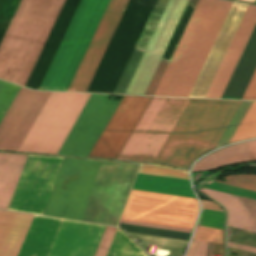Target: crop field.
Instances as JSON below:
<instances>
[{
    "instance_id": "crop-field-1",
    "label": "crop field",
    "mask_w": 256,
    "mask_h": 256,
    "mask_svg": "<svg viewBox=\"0 0 256 256\" xmlns=\"http://www.w3.org/2000/svg\"><path fill=\"white\" fill-rule=\"evenodd\" d=\"M232 4L199 0L154 95L188 96ZM247 6L233 4L189 97H204ZM255 23L249 5L204 98L221 97Z\"/></svg>"
},
{
    "instance_id": "crop-field-2",
    "label": "crop field",
    "mask_w": 256,
    "mask_h": 256,
    "mask_svg": "<svg viewBox=\"0 0 256 256\" xmlns=\"http://www.w3.org/2000/svg\"><path fill=\"white\" fill-rule=\"evenodd\" d=\"M51 92L21 88L0 123V149L17 151ZM90 94L52 92L18 151L57 154ZM91 94L58 154L88 157L120 101Z\"/></svg>"
},
{
    "instance_id": "crop-field-3",
    "label": "crop field",
    "mask_w": 256,
    "mask_h": 256,
    "mask_svg": "<svg viewBox=\"0 0 256 256\" xmlns=\"http://www.w3.org/2000/svg\"><path fill=\"white\" fill-rule=\"evenodd\" d=\"M240 103L153 97L117 159L188 170L195 159L214 149Z\"/></svg>"
},
{
    "instance_id": "crop-field-4",
    "label": "crop field",
    "mask_w": 256,
    "mask_h": 256,
    "mask_svg": "<svg viewBox=\"0 0 256 256\" xmlns=\"http://www.w3.org/2000/svg\"><path fill=\"white\" fill-rule=\"evenodd\" d=\"M157 0H111L67 91L113 93Z\"/></svg>"
},
{
    "instance_id": "crop-field-5",
    "label": "crop field",
    "mask_w": 256,
    "mask_h": 256,
    "mask_svg": "<svg viewBox=\"0 0 256 256\" xmlns=\"http://www.w3.org/2000/svg\"><path fill=\"white\" fill-rule=\"evenodd\" d=\"M65 0H21L0 44V79L25 85Z\"/></svg>"
},
{
    "instance_id": "crop-field-6",
    "label": "crop field",
    "mask_w": 256,
    "mask_h": 256,
    "mask_svg": "<svg viewBox=\"0 0 256 256\" xmlns=\"http://www.w3.org/2000/svg\"><path fill=\"white\" fill-rule=\"evenodd\" d=\"M109 1H81L39 90H67Z\"/></svg>"
},
{
    "instance_id": "crop-field-7",
    "label": "crop field",
    "mask_w": 256,
    "mask_h": 256,
    "mask_svg": "<svg viewBox=\"0 0 256 256\" xmlns=\"http://www.w3.org/2000/svg\"><path fill=\"white\" fill-rule=\"evenodd\" d=\"M101 163L65 158L43 215L80 220Z\"/></svg>"
},
{
    "instance_id": "crop-field-8",
    "label": "crop field",
    "mask_w": 256,
    "mask_h": 256,
    "mask_svg": "<svg viewBox=\"0 0 256 256\" xmlns=\"http://www.w3.org/2000/svg\"><path fill=\"white\" fill-rule=\"evenodd\" d=\"M197 211L193 198L132 190L121 219L192 229Z\"/></svg>"
},
{
    "instance_id": "crop-field-9",
    "label": "crop field",
    "mask_w": 256,
    "mask_h": 256,
    "mask_svg": "<svg viewBox=\"0 0 256 256\" xmlns=\"http://www.w3.org/2000/svg\"><path fill=\"white\" fill-rule=\"evenodd\" d=\"M63 159L28 155L7 210L42 215Z\"/></svg>"
},
{
    "instance_id": "crop-field-10",
    "label": "crop field",
    "mask_w": 256,
    "mask_h": 256,
    "mask_svg": "<svg viewBox=\"0 0 256 256\" xmlns=\"http://www.w3.org/2000/svg\"><path fill=\"white\" fill-rule=\"evenodd\" d=\"M151 99L124 96L89 157L116 159Z\"/></svg>"
},
{
    "instance_id": "crop-field-11",
    "label": "crop field",
    "mask_w": 256,
    "mask_h": 256,
    "mask_svg": "<svg viewBox=\"0 0 256 256\" xmlns=\"http://www.w3.org/2000/svg\"><path fill=\"white\" fill-rule=\"evenodd\" d=\"M105 227L63 220L48 256H94Z\"/></svg>"
},
{
    "instance_id": "crop-field-12",
    "label": "crop field",
    "mask_w": 256,
    "mask_h": 256,
    "mask_svg": "<svg viewBox=\"0 0 256 256\" xmlns=\"http://www.w3.org/2000/svg\"><path fill=\"white\" fill-rule=\"evenodd\" d=\"M61 221L34 216L17 256H47Z\"/></svg>"
},
{
    "instance_id": "crop-field-13",
    "label": "crop field",
    "mask_w": 256,
    "mask_h": 256,
    "mask_svg": "<svg viewBox=\"0 0 256 256\" xmlns=\"http://www.w3.org/2000/svg\"><path fill=\"white\" fill-rule=\"evenodd\" d=\"M200 191L220 201L225 206L228 211L227 225L247 230L249 212L250 218L256 219V200L236 196L247 207L248 212L246 207L234 195L205 188ZM252 219H250L248 230L256 232V220Z\"/></svg>"
},
{
    "instance_id": "crop-field-14",
    "label": "crop field",
    "mask_w": 256,
    "mask_h": 256,
    "mask_svg": "<svg viewBox=\"0 0 256 256\" xmlns=\"http://www.w3.org/2000/svg\"><path fill=\"white\" fill-rule=\"evenodd\" d=\"M33 216L0 211V256H16Z\"/></svg>"
},
{
    "instance_id": "crop-field-15",
    "label": "crop field",
    "mask_w": 256,
    "mask_h": 256,
    "mask_svg": "<svg viewBox=\"0 0 256 256\" xmlns=\"http://www.w3.org/2000/svg\"><path fill=\"white\" fill-rule=\"evenodd\" d=\"M26 156L0 153V209H7Z\"/></svg>"
},
{
    "instance_id": "crop-field-16",
    "label": "crop field",
    "mask_w": 256,
    "mask_h": 256,
    "mask_svg": "<svg viewBox=\"0 0 256 256\" xmlns=\"http://www.w3.org/2000/svg\"><path fill=\"white\" fill-rule=\"evenodd\" d=\"M248 151L249 142L222 149L196 163L192 172L216 169L226 165L248 161Z\"/></svg>"
},
{
    "instance_id": "crop-field-17",
    "label": "crop field",
    "mask_w": 256,
    "mask_h": 256,
    "mask_svg": "<svg viewBox=\"0 0 256 256\" xmlns=\"http://www.w3.org/2000/svg\"><path fill=\"white\" fill-rule=\"evenodd\" d=\"M197 3L198 0H189ZM196 4L188 3L161 60L169 61ZM169 62L160 61L144 95H153Z\"/></svg>"
},
{
    "instance_id": "crop-field-18",
    "label": "crop field",
    "mask_w": 256,
    "mask_h": 256,
    "mask_svg": "<svg viewBox=\"0 0 256 256\" xmlns=\"http://www.w3.org/2000/svg\"><path fill=\"white\" fill-rule=\"evenodd\" d=\"M106 256H147L124 232L117 229Z\"/></svg>"
},
{
    "instance_id": "crop-field-19",
    "label": "crop field",
    "mask_w": 256,
    "mask_h": 256,
    "mask_svg": "<svg viewBox=\"0 0 256 256\" xmlns=\"http://www.w3.org/2000/svg\"><path fill=\"white\" fill-rule=\"evenodd\" d=\"M256 137V102H253L229 143Z\"/></svg>"
},
{
    "instance_id": "crop-field-20",
    "label": "crop field",
    "mask_w": 256,
    "mask_h": 256,
    "mask_svg": "<svg viewBox=\"0 0 256 256\" xmlns=\"http://www.w3.org/2000/svg\"><path fill=\"white\" fill-rule=\"evenodd\" d=\"M119 226L122 227L123 229H125L126 232H130V233L158 236V237L185 240V241H188L189 237L191 235L188 233L148 228V227L135 226V225H128V224H122V223H120Z\"/></svg>"
},
{
    "instance_id": "crop-field-21",
    "label": "crop field",
    "mask_w": 256,
    "mask_h": 256,
    "mask_svg": "<svg viewBox=\"0 0 256 256\" xmlns=\"http://www.w3.org/2000/svg\"><path fill=\"white\" fill-rule=\"evenodd\" d=\"M20 0H0V42Z\"/></svg>"
},
{
    "instance_id": "crop-field-22",
    "label": "crop field",
    "mask_w": 256,
    "mask_h": 256,
    "mask_svg": "<svg viewBox=\"0 0 256 256\" xmlns=\"http://www.w3.org/2000/svg\"><path fill=\"white\" fill-rule=\"evenodd\" d=\"M19 90L20 87L0 80V121L2 120Z\"/></svg>"
},
{
    "instance_id": "crop-field-23",
    "label": "crop field",
    "mask_w": 256,
    "mask_h": 256,
    "mask_svg": "<svg viewBox=\"0 0 256 256\" xmlns=\"http://www.w3.org/2000/svg\"><path fill=\"white\" fill-rule=\"evenodd\" d=\"M225 179L226 181H230V180H233V181L227 182V183H223L219 181H216V182L256 192V176H251V175L227 176L225 177Z\"/></svg>"
},
{
    "instance_id": "crop-field-24",
    "label": "crop field",
    "mask_w": 256,
    "mask_h": 256,
    "mask_svg": "<svg viewBox=\"0 0 256 256\" xmlns=\"http://www.w3.org/2000/svg\"><path fill=\"white\" fill-rule=\"evenodd\" d=\"M223 221L224 213L202 209L198 225L222 229Z\"/></svg>"
},
{
    "instance_id": "crop-field-25",
    "label": "crop field",
    "mask_w": 256,
    "mask_h": 256,
    "mask_svg": "<svg viewBox=\"0 0 256 256\" xmlns=\"http://www.w3.org/2000/svg\"><path fill=\"white\" fill-rule=\"evenodd\" d=\"M193 239L223 244L222 230L219 229L198 226Z\"/></svg>"
},
{
    "instance_id": "crop-field-26",
    "label": "crop field",
    "mask_w": 256,
    "mask_h": 256,
    "mask_svg": "<svg viewBox=\"0 0 256 256\" xmlns=\"http://www.w3.org/2000/svg\"><path fill=\"white\" fill-rule=\"evenodd\" d=\"M117 228L107 226L95 256H105Z\"/></svg>"
},
{
    "instance_id": "crop-field-27",
    "label": "crop field",
    "mask_w": 256,
    "mask_h": 256,
    "mask_svg": "<svg viewBox=\"0 0 256 256\" xmlns=\"http://www.w3.org/2000/svg\"><path fill=\"white\" fill-rule=\"evenodd\" d=\"M242 100H256V70L245 90Z\"/></svg>"
},
{
    "instance_id": "crop-field-28",
    "label": "crop field",
    "mask_w": 256,
    "mask_h": 256,
    "mask_svg": "<svg viewBox=\"0 0 256 256\" xmlns=\"http://www.w3.org/2000/svg\"><path fill=\"white\" fill-rule=\"evenodd\" d=\"M120 222L191 233V230H189V229L174 228V227H167V226H160V225H153V224H146V223H138V222L124 221V220H120Z\"/></svg>"
},
{
    "instance_id": "crop-field-29",
    "label": "crop field",
    "mask_w": 256,
    "mask_h": 256,
    "mask_svg": "<svg viewBox=\"0 0 256 256\" xmlns=\"http://www.w3.org/2000/svg\"><path fill=\"white\" fill-rule=\"evenodd\" d=\"M207 245L208 243L199 241L194 256H206Z\"/></svg>"
},
{
    "instance_id": "crop-field-30",
    "label": "crop field",
    "mask_w": 256,
    "mask_h": 256,
    "mask_svg": "<svg viewBox=\"0 0 256 256\" xmlns=\"http://www.w3.org/2000/svg\"><path fill=\"white\" fill-rule=\"evenodd\" d=\"M200 201H201L202 208L223 212L221 207L218 206L217 204L213 203V202L204 201V200H200Z\"/></svg>"
},
{
    "instance_id": "crop-field-31",
    "label": "crop field",
    "mask_w": 256,
    "mask_h": 256,
    "mask_svg": "<svg viewBox=\"0 0 256 256\" xmlns=\"http://www.w3.org/2000/svg\"><path fill=\"white\" fill-rule=\"evenodd\" d=\"M227 244L230 247H234V248H238V249H242V250H246V251H250V252L256 253V249H254V248H250V247H246V246H241V245H237V244H233V243H229V242H227Z\"/></svg>"
},
{
    "instance_id": "crop-field-32",
    "label": "crop field",
    "mask_w": 256,
    "mask_h": 256,
    "mask_svg": "<svg viewBox=\"0 0 256 256\" xmlns=\"http://www.w3.org/2000/svg\"><path fill=\"white\" fill-rule=\"evenodd\" d=\"M197 242H198V241H195V240L192 241V243H191V245H190V247H189V249H188V251H187L186 256H193V253H194V251H195Z\"/></svg>"
},
{
    "instance_id": "crop-field-33",
    "label": "crop field",
    "mask_w": 256,
    "mask_h": 256,
    "mask_svg": "<svg viewBox=\"0 0 256 256\" xmlns=\"http://www.w3.org/2000/svg\"><path fill=\"white\" fill-rule=\"evenodd\" d=\"M224 256V245L215 244V254Z\"/></svg>"
},
{
    "instance_id": "crop-field-34",
    "label": "crop field",
    "mask_w": 256,
    "mask_h": 256,
    "mask_svg": "<svg viewBox=\"0 0 256 256\" xmlns=\"http://www.w3.org/2000/svg\"><path fill=\"white\" fill-rule=\"evenodd\" d=\"M213 250H214V244L209 243L208 250H207V256H213Z\"/></svg>"
},
{
    "instance_id": "crop-field-35",
    "label": "crop field",
    "mask_w": 256,
    "mask_h": 256,
    "mask_svg": "<svg viewBox=\"0 0 256 256\" xmlns=\"http://www.w3.org/2000/svg\"><path fill=\"white\" fill-rule=\"evenodd\" d=\"M242 1H247V2H252V3L255 2V0H242Z\"/></svg>"
}]
</instances>
